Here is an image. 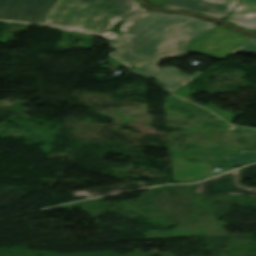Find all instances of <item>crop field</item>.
Masks as SVG:
<instances>
[{
  "label": "crop field",
  "mask_w": 256,
  "mask_h": 256,
  "mask_svg": "<svg viewBox=\"0 0 256 256\" xmlns=\"http://www.w3.org/2000/svg\"><path fill=\"white\" fill-rule=\"evenodd\" d=\"M215 23L174 14L152 12L112 41L115 57L125 64L147 58L181 56L198 36Z\"/></svg>",
  "instance_id": "obj_1"
},
{
  "label": "crop field",
  "mask_w": 256,
  "mask_h": 256,
  "mask_svg": "<svg viewBox=\"0 0 256 256\" xmlns=\"http://www.w3.org/2000/svg\"><path fill=\"white\" fill-rule=\"evenodd\" d=\"M140 7L136 0H61L46 25L91 33L111 41L119 35L111 29Z\"/></svg>",
  "instance_id": "obj_2"
},
{
  "label": "crop field",
  "mask_w": 256,
  "mask_h": 256,
  "mask_svg": "<svg viewBox=\"0 0 256 256\" xmlns=\"http://www.w3.org/2000/svg\"><path fill=\"white\" fill-rule=\"evenodd\" d=\"M60 0H0V20L44 25Z\"/></svg>",
  "instance_id": "obj_3"
},
{
  "label": "crop field",
  "mask_w": 256,
  "mask_h": 256,
  "mask_svg": "<svg viewBox=\"0 0 256 256\" xmlns=\"http://www.w3.org/2000/svg\"><path fill=\"white\" fill-rule=\"evenodd\" d=\"M249 39L251 37L245 34L220 26L205 36L194 40L188 51L204 53L223 59Z\"/></svg>",
  "instance_id": "obj_4"
},
{
  "label": "crop field",
  "mask_w": 256,
  "mask_h": 256,
  "mask_svg": "<svg viewBox=\"0 0 256 256\" xmlns=\"http://www.w3.org/2000/svg\"><path fill=\"white\" fill-rule=\"evenodd\" d=\"M226 162H186L183 158H172V170L174 181H197L212 174L211 164L238 165L245 161L256 160V152H240L239 156H225Z\"/></svg>",
  "instance_id": "obj_5"
},
{
  "label": "crop field",
  "mask_w": 256,
  "mask_h": 256,
  "mask_svg": "<svg viewBox=\"0 0 256 256\" xmlns=\"http://www.w3.org/2000/svg\"><path fill=\"white\" fill-rule=\"evenodd\" d=\"M160 61L148 60L137 64L135 65L137 66L135 71L148 78L154 77L159 83L165 85L166 88L174 93L201 74V72L197 71L190 76L175 67L160 69L157 67Z\"/></svg>",
  "instance_id": "obj_6"
},
{
  "label": "crop field",
  "mask_w": 256,
  "mask_h": 256,
  "mask_svg": "<svg viewBox=\"0 0 256 256\" xmlns=\"http://www.w3.org/2000/svg\"><path fill=\"white\" fill-rule=\"evenodd\" d=\"M239 0H170L163 8L190 10L224 20Z\"/></svg>",
  "instance_id": "obj_7"
},
{
  "label": "crop field",
  "mask_w": 256,
  "mask_h": 256,
  "mask_svg": "<svg viewBox=\"0 0 256 256\" xmlns=\"http://www.w3.org/2000/svg\"><path fill=\"white\" fill-rule=\"evenodd\" d=\"M226 193L256 197V188L238 185V170L196 185V194Z\"/></svg>",
  "instance_id": "obj_8"
},
{
  "label": "crop field",
  "mask_w": 256,
  "mask_h": 256,
  "mask_svg": "<svg viewBox=\"0 0 256 256\" xmlns=\"http://www.w3.org/2000/svg\"><path fill=\"white\" fill-rule=\"evenodd\" d=\"M227 21L254 31L256 29V0H242Z\"/></svg>",
  "instance_id": "obj_9"
},
{
  "label": "crop field",
  "mask_w": 256,
  "mask_h": 256,
  "mask_svg": "<svg viewBox=\"0 0 256 256\" xmlns=\"http://www.w3.org/2000/svg\"><path fill=\"white\" fill-rule=\"evenodd\" d=\"M145 187L146 185L144 182H130V183L107 186V187L91 189V190H86L81 192H75L74 195L76 198L82 197V196H86L87 198H89V197H94L99 195H105V194L145 188Z\"/></svg>",
  "instance_id": "obj_10"
},
{
  "label": "crop field",
  "mask_w": 256,
  "mask_h": 256,
  "mask_svg": "<svg viewBox=\"0 0 256 256\" xmlns=\"http://www.w3.org/2000/svg\"><path fill=\"white\" fill-rule=\"evenodd\" d=\"M151 11L145 9V8H140L139 10H137L135 13H133L132 15H130L129 17H127L123 24H122V28L121 33L124 32L126 29H128L129 27H131L132 25H134L136 22H138L139 20H141L142 18H144L146 15H148Z\"/></svg>",
  "instance_id": "obj_11"
},
{
  "label": "crop field",
  "mask_w": 256,
  "mask_h": 256,
  "mask_svg": "<svg viewBox=\"0 0 256 256\" xmlns=\"http://www.w3.org/2000/svg\"><path fill=\"white\" fill-rule=\"evenodd\" d=\"M237 52H244L256 55V39L252 38L250 41H248L245 45H243L241 48H239L232 54H235Z\"/></svg>",
  "instance_id": "obj_12"
},
{
  "label": "crop field",
  "mask_w": 256,
  "mask_h": 256,
  "mask_svg": "<svg viewBox=\"0 0 256 256\" xmlns=\"http://www.w3.org/2000/svg\"><path fill=\"white\" fill-rule=\"evenodd\" d=\"M155 6L161 7L169 0H150Z\"/></svg>",
  "instance_id": "obj_13"
},
{
  "label": "crop field",
  "mask_w": 256,
  "mask_h": 256,
  "mask_svg": "<svg viewBox=\"0 0 256 256\" xmlns=\"http://www.w3.org/2000/svg\"><path fill=\"white\" fill-rule=\"evenodd\" d=\"M256 31V30H255Z\"/></svg>",
  "instance_id": "obj_14"
}]
</instances>
